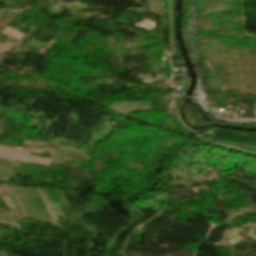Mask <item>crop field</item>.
<instances>
[{
    "instance_id": "crop-field-1",
    "label": "crop field",
    "mask_w": 256,
    "mask_h": 256,
    "mask_svg": "<svg viewBox=\"0 0 256 256\" xmlns=\"http://www.w3.org/2000/svg\"><path fill=\"white\" fill-rule=\"evenodd\" d=\"M38 151H48V150L37 149V148L16 149V148L0 146V158H7L11 161L17 160L24 163H28V161H30L33 163L49 166L52 159H41V158H37L29 155L30 152H38ZM48 152L54 153L53 151H48Z\"/></svg>"
},
{
    "instance_id": "crop-field-2",
    "label": "crop field",
    "mask_w": 256,
    "mask_h": 256,
    "mask_svg": "<svg viewBox=\"0 0 256 256\" xmlns=\"http://www.w3.org/2000/svg\"><path fill=\"white\" fill-rule=\"evenodd\" d=\"M2 35H5V36H7V38L8 39H12V40H15V41H19L20 40V38L23 36V34H21V33H19V32H16V31H14V30H11V29H9V28H7L6 27V29L3 31V33H2ZM16 42V43H17ZM15 43V44H16ZM14 44V45H15ZM14 45H12V44H10V43H6L4 46H1L0 45V53L1 52H4V51H9V49L11 48V47H13Z\"/></svg>"
},
{
    "instance_id": "crop-field-3",
    "label": "crop field",
    "mask_w": 256,
    "mask_h": 256,
    "mask_svg": "<svg viewBox=\"0 0 256 256\" xmlns=\"http://www.w3.org/2000/svg\"><path fill=\"white\" fill-rule=\"evenodd\" d=\"M0 193L10 195L7 184H4V185L0 186Z\"/></svg>"
}]
</instances>
